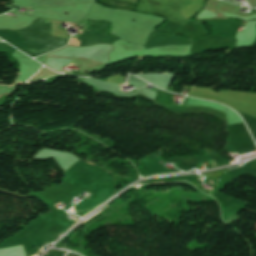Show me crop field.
Returning <instances> with one entry per match:
<instances>
[{"label":"crop field","instance_id":"crop-field-1","mask_svg":"<svg viewBox=\"0 0 256 256\" xmlns=\"http://www.w3.org/2000/svg\"><path fill=\"white\" fill-rule=\"evenodd\" d=\"M70 42L75 43L76 42V38H72Z\"/></svg>","mask_w":256,"mask_h":256}]
</instances>
